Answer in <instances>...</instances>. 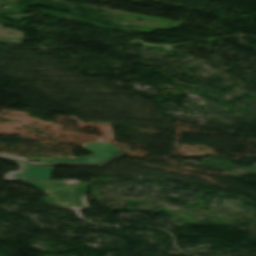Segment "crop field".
<instances>
[{"label":"crop field","mask_w":256,"mask_h":256,"mask_svg":"<svg viewBox=\"0 0 256 256\" xmlns=\"http://www.w3.org/2000/svg\"><path fill=\"white\" fill-rule=\"evenodd\" d=\"M4 159V158H2ZM10 160V159H6ZM21 165L20 171L6 175L5 181L49 180L54 166H32L24 162L14 161Z\"/></svg>","instance_id":"3"},{"label":"crop field","mask_w":256,"mask_h":256,"mask_svg":"<svg viewBox=\"0 0 256 256\" xmlns=\"http://www.w3.org/2000/svg\"><path fill=\"white\" fill-rule=\"evenodd\" d=\"M39 190L48 194L45 203L54 206L80 208L86 207L85 196L90 183L66 184L65 180L58 181H26Z\"/></svg>","instance_id":"1"},{"label":"crop field","mask_w":256,"mask_h":256,"mask_svg":"<svg viewBox=\"0 0 256 256\" xmlns=\"http://www.w3.org/2000/svg\"><path fill=\"white\" fill-rule=\"evenodd\" d=\"M86 151H96L90 157H70V158H23L19 156H6L0 155V157H12L21 160H40L35 164H60V165H86V166H102L113 161L117 157L123 155L116 147L104 142H98L95 144H87L83 147ZM29 162V161H28ZM34 163V162H30Z\"/></svg>","instance_id":"2"}]
</instances>
